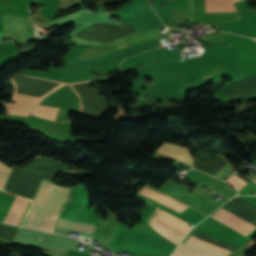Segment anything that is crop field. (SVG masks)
I'll return each mask as SVG.
<instances>
[{
  "mask_svg": "<svg viewBox=\"0 0 256 256\" xmlns=\"http://www.w3.org/2000/svg\"><path fill=\"white\" fill-rule=\"evenodd\" d=\"M46 158H37L31 165L23 168H30L41 161L45 160ZM60 168V163L52 160L47 159L44 162L30 168V169H21L16 170L37 178L48 180L52 178L54 173ZM70 168H73V166H70L68 164L61 162V168L56 172L55 175L58 173L68 170ZM12 169H20V168H12ZM12 170V173L4 187V190L13 194H17L29 199H32L40 182L41 179H37L19 172H16ZM54 175V176H55ZM53 176V177H54ZM53 178L49 181L52 182Z\"/></svg>",
  "mask_w": 256,
  "mask_h": 256,
  "instance_id": "8a807250",
  "label": "crop field"
},
{
  "mask_svg": "<svg viewBox=\"0 0 256 256\" xmlns=\"http://www.w3.org/2000/svg\"><path fill=\"white\" fill-rule=\"evenodd\" d=\"M162 213L163 211L156 207L147 225L151 227ZM188 225L189 224L164 212L151 228L163 237L178 245L183 237L191 229V227H189Z\"/></svg>",
  "mask_w": 256,
  "mask_h": 256,
  "instance_id": "ac0d7876",
  "label": "crop field"
},
{
  "mask_svg": "<svg viewBox=\"0 0 256 256\" xmlns=\"http://www.w3.org/2000/svg\"><path fill=\"white\" fill-rule=\"evenodd\" d=\"M159 37H160V30H148V31L139 32V33L127 36L125 38L107 43L105 45L91 46L80 54L79 60L106 55L108 53L122 49L124 47L130 46L145 40L156 39Z\"/></svg>",
  "mask_w": 256,
  "mask_h": 256,
  "instance_id": "34b2d1b8",
  "label": "crop field"
},
{
  "mask_svg": "<svg viewBox=\"0 0 256 256\" xmlns=\"http://www.w3.org/2000/svg\"><path fill=\"white\" fill-rule=\"evenodd\" d=\"M190 238H192L194 240H197V241H199V242H201V243H203L205 245H208V246H210V247H212L214 249H217V250H219V251H221V252H223L225 254L229 255V254L232 253V252H230V251H228L226 249H223V248H221L219 246H216V245H214V244H212L210 242H207V241H205L203 239H200V238H198V237H196L194 235L190 236ZM190 238H188L187 241L184 244L180 243L179 247L184 248V249H186L188 251H191V252L196 253V254L201 255V256H227V255H225V254H223V253H221L219 251H216V250H214V249H212V248H210L208 246H205V245H203V244H201L199 242H196V241H194V240H192ZM179 247H177V250H179V251H181L183 253H186V254H188L190 256H198L196 254L188 252V251H186L184 249H181ZM179 251L175 250V252L172 254V256H188V255L183 254V253H181Z\"/></svg>",
  "mask_w": 256,
  "mask_h": 256,
  "instance_id": "412701ff",
  "label": "crop field"
},
{
  "mask_svg": "<svg viewBox=\"0 0 256 256\" xmlns=\"http://www.w3.org/2000/svg\"><path fill=\"white\" fill-rule=\"evenodd\" d=\"M211 218L221 222L222 224L234 229L235 231L245 236L256 228L222 208L214 215H212Z\"/></svg>",
  "mask_w": 256,
  "mask_h": 256,
  "instance_id": "f4fd0767",
  "label": "crop field"
},
{
  "mask_svg": "<svg viewBox=\"0 0 256 256\" xmlns=\"http://www.w3.org/2000/svg\"><path fill=\"white\" fill-rule=\"evenodd\" d=\"M139 193L181 213L187 206L156 191L144 187Z\"/></svg>",
  "mask_w": 256,
  "mask_h": 256,
  "instance_id": "dd49c442",
  "label": "crop field"
},
{
  "mask_svg": "<svg viewBox=\"0 0 256 256\" xmlns=\"http://www.w3.org/2000/svg\"><path fill=\"white\" fill-rule=\"evenodd\" d=\"M157 152L169 155L192 166V159L189 155V150L184 147L163 143Z\"/></svg>",
  "mask_w": 256,
  "mask_h": 256,
  "instance_id": "e52e79f7",
  "label": "crop field"
},
{
  "mask_svg": "<svg viewBox=\"0 0 256 256\" xmlns=\"http://www.w3.org/2000/svg\"><path fill=\"white\" fill-rule=\"evenodd\" d=\"M28 203V200L17 196L4 222L19 224Z\"/></svg>",
  "mask_w": 256,
  "mask_h": 256,
  "instance_id": "d8731c3e",
  "label": "crop field"
},
{
  "mask_svg": "<svg viewBox=\"0 0 256 256\" xmlns=\"http://www.w3.org/2000/svg\"><path fill=\"white\" fill-rule=\"evenodd\" d=\"M208 1H216V0H205ZM237 0H225V1H217V2H209L205 3L206 12H232L237 11L233 2Z\"/></svg>",
  "mask_w": 256,
  "mask_h": 256,
  "instance_id": "5a996713",
  "label": "crop field"
},
{
  "mask_svg": "<svg viewBox=\"0 0 256 256\" xmlns=\"http://www.w3.org/2000/svg\"><path fill=\"white\" fill-rule=\"evenodd\" d=\"M15 102V101H12ZM6 106L7 112L6 114H16V115H24L28 116L30 114V110L35 106L34 104L30 103H23V102H16L15 104L12 103H2Z\"/></svg>",
  "mask_w": 256,
  "mask_h": 256,
  "instance_id": "3316defc",
  "label": "crop field"
},
{
  "mask_svg": "<svg viewBox=\"0 0 256 256\" xmlns=\"http://www.w3.org/2000/svg\"><path fill=\"white\" fill-rule=\"evenodd\" d=\"M58 109L59 108H56V107L38 105L37 107H35L33 109L32 114L41 116V117H45V118H49V119H52L55 121L57 113H58Z\"/></svg>",
  "mask_w": 256,
  "mask_h": 256,
  "instance_id": "28ad6ade",
  "label": "crop field"
},
{
  "mask_svg": "<svg viewBox=\"0 0 256 256\" xmlns=\"http://www.w3.org/2000/svg\"><path fill=\"white\" fill-rule=\"evenodd\" d=\"M19 228L0 224V238L13 241Z\"/></svg>",
  "mask_w": 256,
  "mask_h": 256,
  "instance_id": "d1516ede",
  "label": "crop field"
},
{
  "mask_svg": "<svg viewBox=\"0 0 256 256\" xmlns=\"http://www.w3.org/2000/svg\"><path fill=\"white\" fill-rule=\"evenodd\" d=\"M226 182H228L229 184H231L232 186L239 190H241L243 186L247 183L234 174Z\"/></svg>",
  "mask_w": 256,
  "mask_h": 256,
  "instance_id": "22f410ed",
  "label": "crop field"
},
{
  "mask_svg": "<svg viewBox=\"0 0 256 256\" xmlns=\"http://www.w3.org/2000/svg\"><path fill=\"white\" fill-rule=\"evenodd\" d=\"M2 48L4 50H6L7 52L16 50L15 46H6V47H2Z\"/></svg>",
  "mask_w": 256,
  "mask_h": 256,
  "instance_id": "cbeb9de0",
  "label": "crop field"
}]
</instances>
